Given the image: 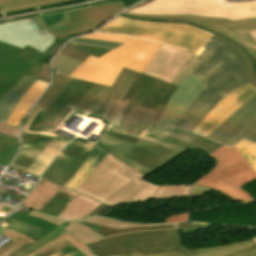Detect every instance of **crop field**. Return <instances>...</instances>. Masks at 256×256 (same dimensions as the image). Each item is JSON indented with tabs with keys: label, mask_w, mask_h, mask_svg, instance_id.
<instances>
[{
	"label": "crop field",
	"mask_w": 256,
	"mask_h": 256,
	"mask_svg": "<svg viewBox=\"0 0 256 256\" xmlns=\"http://www.w3.org/2000/svg\"><path fill=\"white\" fill-rule=\"evenodd\" d=\"M11 146L10 145H8V147L6 148V150L2 153V155L0 156V159H1V157L7 152V150L10 148Z\"/></svg>",
	"instance_id": "obj_52"
},
{
	"label": "crop field",
	"mask_w": 256,
	"mask_h": 256,
	"mask_svg": "<svg viewBox=\"0 0 256 256\" xmlns=\"http://www.w3.org/2000/svg\"><path fill=\"white\" fill-rule=\"evenodd\" d=\"M0 133L10 137H19V129L11 126L3 125L0 123Z\"/></svg>",
	"instance_id": "obj_40"
},
{
	"label": "crop field",
	"mask_w": 256,
	"mask_h": 256,
	"mask_svg": "<svg viewBox=\"0 0 256 256\" xmlns=\"http://www.w3.org/2000/svg\"><path fill=\"white\" fill-rule=\"evenodd\" d=\"M189 52L163 45L143 74L123 68L98 117L109 130L145 137L176 90L170 83L193 56Z\"/></svg>",
	"instance_id": "obj_2"
},
{
	"label": "crop field",
	"mask_w": 256,
	"mask_h": 256,
	"mask_svg": "<svg viewBox=\"0 0 256 256\" xmlns=\"http://www.w3.org/2000/svg\"><path fill=\"white\" fill-rule=\"evenodd\" d=\"M54 156L21 149L11 168L30 173L39 177L41 172L53 160ZM43 173V172H42Z\"/></svg>",
	"instance_id": "obj_18"
},
{
	"label": "crop field",
	"mask_w": 256,
	"mask_h": 256,
	"mask_svg": "<svg viewBox=\"0 0 256 256\" xmlns=\"http://www.w3.org/2000/svg\"><path fill=\"white\" fill-rule=\"evenodd\" d=\"M67 141L41 136L22 135V148L56 156Z\"/></svg>",
	"instance_id": "obj_26"
},
{
	"label": "crop field",
	"mask_w": 256,
	"mask_h": 256,
	"mask_svg": "<svg viewBox=\"0 0 256 256\" xmlns=\"http://www.w3.org/2000/svg\"><path fill=\"white\" fill-rule=\"evenodd\" d=\"M60 189L41 180L21 205L39 212Z\"/></svg>",
	"instance_id": "obj_23"
},
{
	"label": "crop field",
	"mask_w": 256,
	"mask_h": 256,
	"mask_svg": "<svg viewBox=\"0 0 256 256\" xmlns=\"http://www.w3.org/2000/svg\"><path fill=\"white\" fill-rule=\"evenodd\" d=\"M32 65L33 63L16 57L9 67L0 64V100L24 77L23 74Z\"/></svg>",
	"instance_id": "obj_19"
},
{
	"label": "crop field",
	"mask_w": 256,
	"mask_h": 256,
	"mask_svg": "<svg viewBox=\"0 0 256 256\" xmlns=\"http://www.w3.org/2000/svg\"><path fill=\"white\" fill-rule=\"evenodd\" d=\"M81 64L82 62L58 54V56L53 60L52 69L58 71L61 75L69 76Z\"/></svg>",
	"instance_id": "obj_31"
},
{
	"label": "crop field",
	"mask_w": 256,
	"mask_h": 256,
	"mask_svg": "<svg viewBox=\"0 0 256 256\" xmlns=\"http://www.w3.org/2000/svg\"><path fill=\"white\" fill-rule=\"evenodd\" d=\"M96 144L109 154L75 191L102 203L132 181L117 172L127 164L139 172L140 180L147 184L131 202L148 201L153 198L159 186L143 178L163 168L188 149L199 148L210 154L221 146L208 139L172 127H168L161 137L148 134L145 139L106 131L95 144L81 141L70 142L40 179H47L63 186Z\"/></svg>",
	"instance_id": "obj_1"
},
{
	"label": "crop field",
	"mask_w": 256,
	"mask_h": 256,
	"mask_svg": "<svg viewBox=\"0 0 256 256\" xmlns=\"http://www.w3.org/2000/svg\"><path fill=\"white\" fill-rule=\"evenodd\" d=\"M2 141H3V138L0 137V155L5 150V148L7 147V145L1 144Z\"/></svg>",
	"instance_id": "obj_50"
},
{
	"label": "crop field",
	"mask_w": 256,
	"mask_h": 256,
	"mask_svg": "<svg viewBox=\"0 0 256 256\" xmlns=\"http://www.w3.org/2000/svg\"><path fill=\"white\" fill-rule=\"evenodd\" d=\"M109 206L103 205L101 204L100 206H98L95 210H93L91 213H89L86 217H92L95 216L97 213L103 211L104 209L108 208ZM84 217V218H86Z\"/></svg>",
	"instance_id": "obj_49"
},
{
	"label": "crop field",
	"mask_w": 256,
	"mask_h": 256,
	"mask_svg": "<svg viewBox=\"0 0 256 256\" xmlns=\"http://www.w3.org/2000/svg\"><path fill=\"white\" fill-rule=\"evenodd\" d=\"M1 137L5 138L3 143L5 144H11V145H16L14 149L11 151V153L7 156V158L4 160L3 164L9 165L11 162L12 158L14 157L17 148H18V139L16 138H10V137H5L4 135H0Z\"/></svg>",
	"instance_id": "obj_39"
},
{
	"label": "crop field",
	"mask_w": 256,
	"mask_h": 256,
	"mask_svg": "<svg viewBox=\"0 0 256 256\" xmlns=\"http://www.w3.org/2000/svg\"><path fill=\"white\" fill-rule=\"evenodd\" d=\"M80 38L121 42L122 46L96 59L89 57L70 76L111 87L123 67L143 73L162 44L138 38L93 34Z\"/></svg>",
	"instance_id": "obj_6"
},
{
	"label": "crop field",
	"mask_w": 256,
	"mask_h": 256,
	"mask_svg": "<svg viewBox=\"0 0 256 256\" xmlns=\"http://www.w3.org/2000/svg\"><path fill=\"white\" fill-rule=\"evenodd\" d=\"M253 238V240L256 242V236H254V237H252Z\"/></svg>",
	"instance_id": "obj_53"
},
{
	"label": "crop field",
	"mask_w": 256,
	"mask_h": 256,
	"mask_svg": "<svg viewBox=\"0 0 256 256\" xmlns=\"http://www.w3.org/2000/svg\"><path fill=\"white\" fill-rule=\"evenodd\" d=\"M229 256H256V248L241 251V252L229 255Z\"/></svg>",
	"instance_id": "obj_46"
},
{
	"label": "crop field",
	"mask_w": 256,
	"mask_h": 256,
	"mask_svg": "<svg viewBox=\"0 0 256 256\" xmlns=\"http://www.w3.org/2000/svg\"><path fill=\"white\" fill-rule=\"evenodd\" d=\"M256 94V93H255ZM246 103V102H245ZM256 121V95L232 114L207 138L232 147Z\"/></svg>",
	"instance_id": "obj_13"
},
{
	"label": "crop field",
	"mask_w": 256,
	"mask_h": 256,
	"mask_svg": "<svg viewBox=\"0 0 256 256\" xmlns=\"http://www.w3.org/2000/svg\"><path fill=\"white\" fill-rule=\"evenodd\" d=\"M59 47H61V45L55 48L47 56L27 45L23 49H21V48L0 42V63L9 66L14 56L29 60L35 63L38 60L41 61L51 55H54V53L57 51Z\"/></svg>",
	"instance_id": "obj_21"
},
{
	"label": "crop field",
	"mask_w": 256,
	"mask_h": 256,
	"mask_svg": "<svg viewBox=\"0 0 256 256\" xmlns=\"http://www.w3.org/2000/svg\"><path fill=\"white\" fill-rule=\"evenodd\" d=\"M204 88L201 82L188 75L171 96L152 133L161 135L168 125L175 126L191 100Z\"/></svg>",
	"instance_id": "obj_15"
},
{
	"label": "crop field",
	"mask_w": 256,
	"mask_h": 256,
	"mask_svg": "<svg viewBox=\"0 0 256 256\" xmlns=\"http://www.w3.org/2000/svg\"><path fill=\"white\" fill-rule=\"evenodd\" d=\"M208 190H210V189L206 188V187L194 185L191 190V197L202 196V195L206 194V192Z\"/></svg>",
	"instance_id": "obj_44"
},
{
	"label": "crop field",
	"mask_w": 256,
	"mask_h": 256,
	"mask_svg": "<svg viewBox=\"0 0 256 256\" xmlns=\"http://www.w3.org/2000/svg\"><path fill=\"white\" fill-rule=\"evenodd\" d=\"M63 1L67 0H0V14L8 11L55 4Z\"/></svg>",
	"instance_id": "obj_29"
},
{
	"label": "crop field",
	"mask_w": 256,
	"mask_h": 256,
	"mask_svg": "<svg viewBox=\"0 0 256 256\" xmlns=\"http://www.w3.org/2000/svg\"><path fill=\"white\" fill-rule=\"evenodd\" d=\"M112 256H191V255L188 252H186L184 249H181L176 251L159 252V253H151V254H144V252H140V253L112 255Z\"/></svg>",
	"instance_id": "obj_37"
},
{
	"label": "crop field",
	"mask_w": 256,
	"mask_h": 256,
	"mask_svg": "<svg viewBox=\"0 0 256 256\" xmlns=\"http://www.w3.org/2000/svg\"><path fill=\"white\" fill-rule=\"evenodd\" d=\"M102 31L151 39L195 53L214 35L195 25L134 20L121 14L106 24L98 33Z\"/></svg>",
	"instance_id": "obj_8"
},
{
	"label": "crop field",
	"mask_w": 256,
	"mask_h": 256,
	"mask_svg": "<svg viewBox=\"0 0 256 256\" xmlns=\"http://www.w3.org/2000/svg\"><path fill=\"white\" fill-rule=\"evenodd\" d=\"M70 43L94 46V47H100V48H107V49H113V48L121 45V43L104 42V41L89 40V39H78V38L72 40Z\"/></svg>",
	"instance_id": "obj_35"
},
{
	"label": "crop field",
	"mask_w": 256,
	"mask_h": 256,
	"mask_svg": "<svg viewBox=\"0 0 256 256\" xmlns=\"http://www.w3.org/2000/svg\"><path fill=\"white\" fill-rule=\"evenodd\" d=\"M109 91L110 88L52 74V85L28 115L22 134L64 139L55 134L60 125L75 111L97 116Z\"/></svg>",
	"instance_id": "obj_4"
},
{
	"label": "crop field",
	"mask_w": 256,
	"mask_h": 256,
	"mask_svg": "<svg viewBox=\"0 0 256 256\" xmlns=\"http://www.w3.org/2000/svg\"><path fill=\"white\" fill-rule=\"evenodd\" d=\"M36 81V79L25 76L9 93L4 96L0 101V119H2L0 122H7L14 107Z\"/></svg>",
	"instance_id": "obj_20"
},
{
	"label": "crop field",
	"mask_w": 256,
	"mask_h": 256,
	"mask_svg": "<svg viewBox=\"0 0 256 256\" xmlns=\"http://www.w3.org/2000/svg\"><path fill=\"white\" fill-rule=\"evenodd\" d=\"M70 38L67 39H61L60 41L54 42L53 44H51L48 49L44 52L45 54H49L55 47H57L59 44H63L64 42H66L67 40H69Z\"/></svg>",
	"instance_id": "obj_48"
},
{
	"label": "crop field",
	"mask_w": 256,
	"mask_h": 256,
	"mask_svg": "<svg viewBox=\"0 0 256 256\" xmlns=\"http://www.w3.org/2000/svg\"><path fill=\"white\" fill-rule=\"evenodd\" d=\"M256 93V88L250 83L234 91L211 110V112L198 124L192 133L206 137L219 126L232 113L238 110Z\"/></svg>",
	"instance_id": "obj_14"
},
{
	"label": "crop field",
	"mask_w": 256,
	"mask_h": 256,
	"mask_svg": "<svg viewBox=\"0 0 256 256\" xmlns=\"http://www.w3.org/2000/svg\"><path fill=\"white\" fill-rule=\"evenodd\" d=\"M234 147L256 171V144L241 139Z\"/></svg>",
	"instance_id": "obj_33"
},
{
	"label": "crop field",
	"mask_w": 256,
	"mask_h": 256,
	"mask_svg": "<svg viewBox=\"0 0 256 256\" xmlns=\"http://www.w3.org/2000/svg\"><path fill=\"white\" fill-rule=\"evenodd\" d=\"M255 246L256 244L254 243L253 240H247L219 247L200 248L187 251L191 253L193 256H226Z\"/></svg>",
	"instance_id": "obj_28"
},
{
	"label": "crop field",
	"mask_w": 256,
	"mask_h": 256,
	"mask_svg": "<svg viewBox=\"0 0 256 256\" xmlns=\"http://www.w3.org/2000/svg\"><path fill=\"white\" fill-rule=\"evenodd\" d=\"M188 214H189V212L175 214V215H169V216H167L165 223L186 222L187 218H188Z\"/></svg>",
	"instance_id": "obj_42"
},
{
	"label": "crop field",
	"mask_w": 256,
	"mask_h": 256,
	"mask_svg": "<svg viewBox=\"0 0 256 256\" xmlns=\"http://www.w3.org/2000/svg\"><path fill=\"white\" fill-rule=\"evenodd\" d=\"M188 74L201 81L218 101L248 83L241 56L213 39L191 58L172 84L179 86Z\"/></svg>",
	"instance_id": "obj_5"
},
{
	"label": "crop field",
	"mask_w": 256,
	"mask_h": 256,
	"mask_svg": "<svg viewBox=\"0 0 256 256\" xmlns=\"http://www.w3.org/2000/svg\"><path fill=\"white\" fill-rule=\"evenodd\" d=\"M104 150L96 146L90 155L86 158L77 172L72 176V178L64 185L69 189L74 190L78 187L95 169V167L102 161V159L107 155ZM76 190V189H75Z\"/></svg>",
	"instance_id": "obj_25"
},
{
	"label": "crop field",
	"mask_w": 256,
	"mask_h": 256,
	"mask_svg": "<svg viewBox=\"0 0 256 256\" xmlns=\"http://www.w3.org/2000/svg\"><path fill=\"white\" fill-rule=\"evenodd\" d=\"M118 172L122 173L133 181L105 202V204L109 206L130 202V200L146 185L139 180L137 176L139 173H137L128 165Z\"/></svg>",
	"instance_id": "obj_22"
},
{
	"label": "crop field",
	"mask_w": 256,
	"mask_h": 256,
	"mask_svg": "<svg viewBox=\"0 0 256 256\" xmlns=\"http://www.w3.org/2000/svg\"><path fill=\"white\" fill-rule=\"evenodd\" d=\"M80 254H82V253L71 245V246L53 254L52 256H78Z\"/></svg>",
	"instance_id": "obj_41"
},
{
	"label": "crop field",
	"mask_w": 256,
	"mask_h": 256,
	"mask_svg": "<svg viewBox=\"0 0 256 256\" xmlns=\"http://www.w3.org/2000/svg\"><path fill=\"white\" fill-rule=\"evenodd\" d=\"M242 138L245 140L251 141L253 143H256V122L251 127V129L248 131V133Z\"/></svg>",
	"instance_id": "obj_45"
},
{
	"label": "crop field",
	"mask_w": 256,
	"mask_h": 256,
	"mask_svg": "<svg viewBox=\"0 0 256 256\" xmlns=\"http://www.w3.org/2000/svg\"><path fill=\"white\" fill-rule=\"evenodd\" d=\"M25 75L49 83V65L38 61L25 73Z\"/></svg>",
	"instance_id": "obj_34"
},
{
	"label": "crop field",
	"mask_w": 256,
	"mask_h": 256,
	"mask_svg": "<svg viewBox=\"0 0 256 256\" xmlns=\"http://www.w3.org/2000/svg\"><path fill=\"white\" fill-rule=\"evenodd\" d=\"M191 186H160L153 199L189 197Z\"/></svg>",
	"instance_id": "obj_32"
},
{
	"label": "crop field",
	"mask_w": 256,
	"mask_h": 256,
	"mask_svg": "<svg viewBox=\"0 0 256 256\" xmlns=\"http://www.w3.org/2000/svg\"><path fill=\"white\" fill-rule=\"evenodd\" d=\"M64 48L71 49L78 52L87 53L89 55H92L96 58L100 57L101 55L107 53L110 50L107 49H100V48H94V47H87V46H79V45H73L68 43Z\"/></svg>",
	"instance_id": "obj_36"
},
{
	"label": "crop field",
	"mask_w": 256,
	"mask_h": 256,
	"mask_svg": "<svg viewBox=\"0 0 256 256\" xmlns=\"http://www.w3.org/2000/svg\"><path fill=\"white\" fill-rule=\"evenodd\" d=\"M123 11L119 2L69 11L37 27L41 36L51 34L57 39L92 32L114 14Z\"/></svg>",
	"instance_id": "obj_11"
},
{
	"label": "crop field",
	"mask_w": 256,
	"mask_h": 256,
	"mask_svg": "<svg viewBox=\"0 0 256 256\" xmlns=\"http://www.w3.org/2000/svg\"><path fill=\"white\" fill-rule=\"evenodd\" d=\"M179 248H181L180 244L141 246V247H135V248H129V249L107 251V252H103L95 255L106 256V255H112V254L139 252V251H145V253H150V252H159V251H170V250H175Z\"/></svg>",
	"instance_id": "obj_30"
},
{
	"label": "crop field",
	"mask_w": 256,
	"mask_h": 256,
	"mask_svg": "<svg viewBox=\"0 0 256 256\" xmlns=\"http://www.w3.org/2000/svg\"><path fill=\"white\" fill-rule=\"evenodd\" d=\"M98 205H100V203L80 195L63 212H61L57 218L67 221L78 220L86 216Z\"/></svg>",
	"instance_id": "obj_27"
},
{
	"label": "crop field",
	"mask_w": 256,
	"mask_h": 256,
	"mask_svg": "<svg viewBox=\"0 0 256 256\" xmlns=\"http://www.w3.org/2000/svg\"><path fill=\"white\" fill-rule=\"evenodd\" d=\"M69 245H70V243H68V242L66 241V242L60 244L59 246H57V247L51 249L50 251L44 253V254L41 255V256H50V255H52L53 253H55V252H57V251H59V250L65 248V247H67V246H69Z\"/></svg>",
	"instance_id": "obj_47"
},
{
	"label": "crop field",
	"mask_w": 256,
	"mask_h": 256,
	"mask_svg": "<svg viewBox=\"0 0 256 256\" xmlns=\"http://www.w3.org/2000/svg\"><path fill=\"white\" fill-rule=\"evenodd\" d=\"M29 215L17 212L1 221L8 225L0 227V233L14 241L0 256H39L66 240L78 248L126 233L178 229L175 224L141 226L106 218L63 222L40 213Z\"/></svg>",
	"instance_id": "obj_3"
},
{
	"label": "crop field",
	"mask_w": 256,
	"mask_h": 256,
	"mask_svg": "<svg viewBox=\"0 0 256 256\" xmlns=\"http://www.w3.org/2000/svg\"><path fill=\"white\" fill-rule=\"evenodd\" d=\"M14 146H12L9 151L2 157V159L0 160V164L3 162V160L6 158V156L10 153V151L13 149Z\"/></svg>",
	"instance_id": "obj_51"
},
{
	"label": "crop field",
	"mask_w": 256,
	"mask_h": 256,
	"mask_svg": "<svg viewBox=\"0 0 256 256\" xmlns=\"http://www.w3.org/2000/svg\"><path fill=\"white\" fill-rule=\"evenodd\" d=\"M180 243L178 230L141 232L107 238L97 243L78 248L86 255L107 250L128 248L140 245Z\"/></svg>",
	"instance_id": "obj_12"
},
{
	"label": "crop field",
	"mask_w": 256,
	"mask_h": 256,
	"mask_svg": "<svg viewBox=\"0 0 256 256\" xmlns=\"http://www.w3.org/2000/svg\"><path fill=\"white\" fill-rule=\"evenodd\" d=\"M216 104L217 101L205 89L192 100L178 120L176 127L191 132Z\"/></svg>",
	"instance_id": "obj_17"
},
{
	"label": "crop field",
	"mask_w": 256,
	"mask_h": 256,
	"mask_svg": "<svg viewBox=\"0 0 256 256\" xmlns=\"http://www.w3.org/2000/svg\"><path fill=\"white\" fill-rule=\"evenodd\" d=\"M0 41L23 48L26 44L45 51L55 41L51 35L41 37L32 19L0 25Z\"/></svg>",
	"instance_id": "obj_16"
},
{
	"label": "crop field",
	"mask_w": 256,
	"mask_h": 256,
	"mask_svg": "<svg viewBox=\"0 0 256 256\" xmlns=\"http://www.w3.org/2000/svg\"><path fill=\"white\" fill-rule=\"evenodd\" d=\"M211 156L217 161V167L195 184L220 191L237 201H241V204L254 200L240 187L255 179L256 172L239 152L234 147L222 146Z\"/></svg>",
	"instance_id": "obj_10"
},
{
	"label": "crop field",
	"mask_w": 256,
	"mask_h": 256,
	"mask_svg": "<svg viewBox=\"0 0 256 256\" xmlns=\"http://www.w3.org/2000/svg\"><path fill=\"white\" fill-rule=\"evenodd\" d=\"M81 256H86V255L83 254V255H81Z\"/></svg>",
	"instance_id": "obj_54"
},
{
	"label": "crop field",
	"mask_w": 256,
	"mask_h": 256,
	"mask_svg": "<svg viewBox=\"0 0 256 256\" xmlns=\"http://www.w3.org/2000/svg\"><path fill=\"white\" fill-rule=\"evenodd\" d=\"M126 13L149 17H218L237 21L256 18V0H152Z\"/></svg>",
	"instance_id": "obj_7"
},
{
	"label": "crop field",
	"mask_w": 256,
	"mask_h": 256,
	"mask_svg": "<svg viewBox=\"0 0 256 256\" xmlns=\"http://www.w3.org/2000/svg\"><path fill=\"white\" fill-rule=\"evenodd\" d=\"M90 256H94V255H90Z\"/></svg>",
	"instance_id": "obj_55"
},
{
	"label": "crop field",
	"mask_w": 256,
	"mask_h": 256,
	"mask_svg": "<svg viewBox=\"0 0 256 256\" xmlns=\"http://www.w3.org/2000/svg\"><path fill=\"white\" fill-rule=\"evenodd\" d=\"M181 234L194 233L197 229H209L210 225L205 224H178Z\"/></svg>",
	"instance_id": "obj_38"
},
{
	"label": "crop field",
	"mask_w": 256,
	"mask_h": 256,
	"mask_svg": "<svg viewBox=\"0 0 256 256\" xmlns=\"http://www.w3.org/2000/svg\"><path fill=\"white\" fill-rule=\"evenodd\" d=\"M123 14L134 19L191 23L216 33L214 39L234 49L242 56L248 81L256 87V19L230 22L217 18H149Z\"/></svg>",
	"instance_id": "obj_9"
},
{
	"label": "crop field",
	"mask_w": 256,
	"mask_h": 256,
	"mask_svg": "<svg viewBox=\"0 0 256 256\" xmlns=\"http://www.w3.org/2000/svg\"><path fill=\"white\" fill-rule=\"evenodd\" d=\"M47 86L48 83L38 80L15 107L7 123L19 127L23 117Z\"/></svg>",
	"instance_id": "obj_24"
},
{
	"label": "crop field",
	"mask_w": 256,
	"mask_h": 256,
	"mask_svg": "<svg viewBox=\"0 0 256 256\" xmlns=\"http://www.w3.org/2000/svg\"><path fill=\"white\" fill-rule=\"evenodd\" d=\"M60 53L66 55V56L72 57L74 59L80 60L82 62H84L89 57L86 54L70 51L67 49H62V51Z\"/></svg>",
	"instance_id": "obj_43"
}]
</instances>
